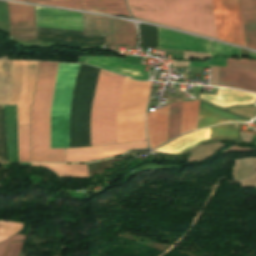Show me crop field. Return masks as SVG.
<instances>
[{"mask_svg":"<svg viewBox=\"0 0 256 256\" xmlns=\"http://www.w3.org/2000/svg\"><path fill=\"white\" fill-rule=\"evenodd\" d=\"M211 138H227L239 140L238 124H224L211 128Z\"/></svg>","mask_w":256,"mask_h":256,"instance_id":"00972430","label":"crop field"},{"mask_svg":"<svg viewBox=\"0 0 256 256\" xmlns=\"http://www.w3.org/2000/svg\"><path fill=\"white\" fill-rule=\"evenodd\" d=\"M81 7L101 13L130 16L124 0H80ZM131 17V16H130Z\"/></svg>","mask_w":256,"mask_h":256,"instance_id":"733c2abd","label":"crop field"},{"mask_svg":"<svg viewBox=\"0 0 256 256\" xmlns=\"http://www.w3.org/2000/svg\"><path fill=\"white\" fill-rule=\"evenodd\" d=\"M21 223H12L8 221H0V242L11 237L22 229Z\"/></svg>","mask_w":256,"mask_h":256,"instance_id":"4177f3b9","label":"crop field"},{"mask_svg":"<svg viewBox=\"0 0 256 256\" xmlns=\"http://www.w3.org/2000/svg\"><path fill=\"white\" fill-rule=\"evenodd\" d=\"M198 107L199 100L183 102L181 133L197 129Z\"/></svg>","mask_w":256,"mask_h":256,"instance_id":"214f88e0","label":"crop field"},{"mask_svg":"<svg viewBox=\"0 0 256 256\" xmlns=\"http://www.w3.org/2000/svg\"><path fill=\"white\" fill-rule=\"evenodd\" d=\"M84 35H105L106 44L136 43L131 22L83 14Z\"/></svg>","mask_w":256,"mask_h":256,"instance_id":"f4fd0767","label":"crop field"},{"mask_svg":"<svg viewBox=\"0 0 256 256\" xmlns=\"http://www.w3.org/2000/svg\"><path fill=\"white\" fill-rule=\"evenodd\" d=\"M85 63L132 79H148V72H144L143 65L125 63L119 57H85Z\"/></svg>","mask_w":256,"mask_h":256,"instance_id":"3316defc","label":"crop field"},{"mask_svg":"<svg viewBox=\"0 0 256 256\" xmlns=\"http://www.w3.org/2000/svg\"><path fill=\"white\" fill-rule=\"evenodd\" d=\"M200 98L224 108L231 105L254 103L256 100V94L236 90L218 89L217 95L201 94Z\"/></svg>","mask_w":256,"mask_h":256,"instance_id":"d1516ede","label":"crop field"},{"mask_svg":"<svg viewBox=\"0 0 256 256\" xmlns=\"http://www.w3.org/2000/svg\"><path fill=\"white\" fill-rule=\"evenodd\" d=\"M147 148L146 140L96 147L65 149L66 162H89L122 154L130 149Z\"/></svg>","mask_w":256,"mask_h":256,"instance_id":"e52e79f7","label":"crop field"},{"mask_svg":"<svg viewBox=\"0 0 256 256\" xmlns=\"http://www.w3.org/2000/svg\"><path fill=\"white\" fill-rule=\"evenodd\" d=\"M132 16L217 39L211 0H127Z\"/></svg>","mask_w":256,"mask_h":256,"instance_id":"ac0d7876","label":"crop field"},{"mask_svg":"<svg viewBox=\"0 0 256 256\" xmlns=\"http://www.w3.org/2000/svg\"><path fill=\"white\" fill-rule=\"evenodd\" d=\"M218 45H220V46H218ZM217 55L241 56V53H240L239 49L233 48L228 45L212 42L211 57H215Z\"/></svg>","mask_w":256,"mask_h":256,"instance_id":"730fd06b","label":"crop field"},{"mask_svg":"<svg viewBox=\"0 0 256 256\" xmlns=\"http://www.w3.org/2000/svg\"><path fill=\"white\" fill-rule=\"evenodd\" d=\"M247 119L223 112L200 100L198 129L224 122H246Z\"/></svg>","mask_w":256,"mask_h":256,"instance_id":"cbeb9de0","label":"crop field"},{"mask_svg":"<svg viewBox=\"0 0 256 256\" xmlns=\"http://www.w3.org/2000/svg\"><path fill=\"white\" fill-rule=\"evenodd\" d=\"M24 238H25V236L17 234L15 236H13L12 238L8 239L7 241L1 242L0 243V256H2V254L4 253L8 243L10 241L24 240Z\"/></svg>","mask_w":256,"mask_h":256,"instance_id":"120bbe31","label":"crop field"},{"mask_svg":"<svg viewBox=\"0 0 256 256\" xmlns=\"http://www.w3.org/2000/svg\"><path fill=\"white\" fill-rule=\"evenodd\" d=\"M0 31L8 35L10 31L6 2H1V1H0Z\"/></svg>","mask_w":256,"mask_h":256,"instance_id":"eef30255","label":"crop field"},{"mask_svg":"<svg viewBox=\"0 0 256 256\" xmlns=\"http://www.w3.org/2000/svg\"><path fill=\"white\" fill-rule=\"evenodd\" d=\"M218 86H230L256 92V60L228 59L219 67Z\"/></svg>","mask_w":256,"mask_h":256,"instance_id":"dd49c442","label":"crop field"},{"mask_svg":"<svg viewBox=\"0 0 256 256\" xmlns=\"http://www.w3.org/2000/svg\"><path fill=\"white\" fill-rule=\"evenodd\" d=\"M247 47L256 49V0H240Z\"/></svg>","mask_w":256,"mask_h":256,"instance_id":"d9b57169","label":"crop field"},{"mask_svg":"<svg viewBox=\"0 0 256 256\" xmlns=\"http://www.w3.org/2000/svg\"><path fill=\"white\" fill-rule=\"evenodd\" d=\"M218 39L245 46L239 0H212Z\"/></svg>","mask_w":256,"mask_h":256,"instance_id":"412701ff","label":"crop field"},{"mask_svg":"<svg viewBox=\"0 0 256 256\" xmlns=\"http://www.w3.org/2000/svg\"><path fill=\"white\" fill-rule=\"evenodd\" d=\"M27 1H39V0H27Z\"/></svg>","mask_w":256,"mask_h":256,"instance_id":"d32e631a","label":"crop field"},{"mask_svg":"<svg viewBox=\"0 0 256 256\" xmlns=\"http://www.w3.org/2000/svg\"><path fill=\"white\" fill-rule=\"evenodd\" d=\"M36 26L83 30L82 14L35 7Z\"/></svg>","mask_w":256,"mask_h":256,"instance_id":"5a996713","label":"crop field"},{"mask_svg":"<svg viewBox=\"0 0 256 256\" xmlns=\"http://www.w3.org/2000/svg\"><path fill=\"white\" fill-rule=\"evenodd\" d=\"M23 242L10 243L3 256H18Z\"/></svg>","mask_w":256,"mask_h":256,"instance_id":"bd1437ed","label":"crop field"},{"mask_svg":"<svg viewBox=\"0 0 256 256\" xmlns=\"http://www.w3.org/2000/svg\"><path fill=\"white\" fill-rule=\"evenodd\" d=\"M34 3L56 5V6H63V7H70V8L81 9L79 0L40 1V2H34Z\"/></svg>","mask_w":256,"mask_h":256,"instance_id":"d3111659","label":"crop field"},{"mask_svg":"<svg viewBox=\"0 0 256 256\" xmlns=\"http://www.w3.org/2000/svg\"><path fill=\"white\" fill-rule=\"evenodd\" d=\"M38 65L39 62L13 60L9 104H17L18 124H30Z\"/></svg>","mask_w":256,"mask_h":256,"instance_id":"34b2d1b8","label":"crop field"},{"mask_svg":"<svg viewBox=\"0 0 256 256\" xmlns=\"http://www.w3.org/2000/svg\"><path fill=\"white\" fill-rule=\"evenodd\" d=\"M210 128L193 132L177 138L176 140L156 149L154 152L180 154L185 150L192 149L209 139Z\"/></svg>","mask_w":256,"mask_h":256,"instance_id":"22f410ed","label":"crop field"},{"mask_svg":"<svg viewBox=\"0 0 256 256\" xmlns=\"http://www.w3.org/2000/svg\"><path fill=\"white\" fill-rule=\"evenodd\" d=\"M234 114L244 117L255 118L256 117V107L248 106V107H234L230 109H226Z\"/></svg>","mask_w":256,"mask_h":256,"instance_id":"ae1a2a85","label":"crop field"},{"mask_svg":"<svg viewBox=\"0 0 256 256\" xmlns=\"http://www.w3.org/2000/svg\"><path fill=\"white\" fill-rule=\"evenodd\" d=\"M9 163L19 162L16 105L4 106Z\"/></svg>","mask_w":256,"mask_h":256,"instance_id":"5142ce71","label":"crop field"},{"mask_svg":"<svg viewBox=\"0 0 256 256\" xmlns=\"http://www.w3.org/2000/svg\"><path fill=\"white\" fill-rule=\"evenodd\" d=\"M226 58H217L211 62L207 63H197V62H190V67H200V68H209V65H216L225 67Z\"/></svg>","mask_w":256,"mask_h":256,"instance_id":"750c4746","label":"crop field"},{"mask_svg":"<svg viewBox=\"0 0 256 256\" xmlns=\"http://www.w3.org/2000/svg\"><path fill=\"white\" fill-rule=\"evenodd\" d=\"M11 27L35 26L33 7L7 3Z\"/></svg>","mask_w":256,"mask_h":256,"instance_id":"4a817a6b","label":"crop field"},{"mask_svg":"<svg viewBox=\"0 0 256 256\" xmlns=\"http://www.w3.org/2000/svg\"><path fill=\"white\" fill-rule=\"evenodd\" d=\"M182 102L170 104L167 140L180 134Z\"/></svg>","mask_w":256,"mask_h":256,"instance_id":"dafd665d","label":"crop field"},{"mask_svg":"<svg viewBox=\"0 0 256 256\" xmlns=\"http://www.w3.org/2000/svg\"><path fill=\"white\" fill-rule=\"evenodd\" d=\"M142 46L157 47V28L139 24Z\"/></svg>","mask_w":256,"mask_h":256,"instance_id":"a9b5d70f","label":"crop field"},{"mask_svg":"<svg viewBox=\"0 0 256 256\" xmlns=\"http://www.w3.org/2000/svg\"><path fill=\"white\" fill-rule=\"evenodd\" d=\"M10 35H35V27L11 28Z\"/></svg>","mask_w":256,"mask_h":256,"instance_id":"1d83c4d3","label":"crop field"},{"mask_svg":"<svg viewBox=\"0 0 256 256\" xmlns=\"http://www.w3.org/2000/svg\"><path fill=\"white\" fill-rule=\"evenodd\" d=\"M58 63L40 62L31 110L32 162H65L64 149H49V112ZM80 64L59 63L50 112V148L69 147V110ZM100 69L80 66L70 111V147L91 146L90 116ZM123 77L101 69L92 116V146L117 143ZM152 82L124 77L118 143L143 140ZM20 162H30V125H18Z\"/></svg>","mask_w":256,"mask_h":256,"instance_id":"8a807250","label":"crop field"},{"mask_svg":"<svg viewBox=\"0 0 256 256\" xmlns=\"http://www.w3.org/2000/svg\"><path fill=\"white\" fill-rule=\"evenodd\" d=\"M12 60H0V104H8Z\"/></svg>","mask_w":256,"mask_h":256,"instance_id":"92a150f3","label":"crop field"},{"mask_svg":"<svg viewBox=\"0 0 256 256\" xmlns=\"http://www.w3.org/2000/svg\"><path fill=\"white\" fill-rule=\"evenodd\" d=\"M169 105L147 116V135L151 149H154L166 141Z\"/></svg>","mask_w":256,"mask_h":256,"instance_id":"28ad6ade","label":"crop field"},{"mask_svg":"<svg viewBox=\"0 0 256 256\" xmlns=\"http://www.w3.org/2000/svg\"><path fill=\"white\" fill-rule=\"evenodd\" d=\"M35 166H44L54 171L59 177L72 176V177H90L87 165H70V164H36Z\"/></svg>","mask_w":256,"mask_h":256,"instance_id":"bc2a9ffb","label":"crop field"},{"mask_svg":"<svg viewBox=\"0 0 256 256\" xmlns=\"http://www.w3.org/2000/svg\"><path fill=\"white\" fill-rule=\"evenodd\" d=\"M158 47L210 53V41L158 28Z\"/></svg>","mask_w":256,"mask_h":256,"instance_id":"d8731c3e","label":"crop field"}]
</instances>
